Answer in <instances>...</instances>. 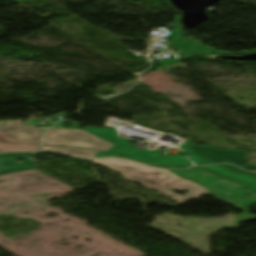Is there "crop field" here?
<instances>
[{"mask_svg": "<svg viewBox=\"0 0 256 256\" xmlns=\"http://www.w3.org/2000/svg\"><path fill=\"white\" fill-rule=\"evenodd\" d=\"M92 161L103 166H107L121 173L126 179L130 181L141 183L152 190L169 195L175 202L179 204L191 200L193 198H199L205 194H210L223 200L226 203H231L245 210V213L237 216V219L234 220L232 223L239 224L245 220L256 219V216L248 214V209H245L227 199H224L216 194H213L197 186L195 183L182 179L167 170L156 169L136 162L116 158H102ZM170 189H179L190 192L187 196L182 197L178 194L169 191Z\"/></svg>", "mask_w": 256, "mask_h": 256, "instance_id": "obj_1", "label": "crop field"}, {"mask_svg": "<svg viewBox=\"0 0 256 256\" xmlns=\"http://www.w3.org/2000/svg\"><path fill=\"white\" fill-rule=\"evenodd\" d=\"M177 175L192 179L196 184L225 197L243 207L256 204V194L240 184L233 183L222 177L213 175L206 171L188 169V170H170ZM210 184V186H207Z\"/></svg>", "mask_w": 256, "mask_h": 256, "instance_id": "obj_2", "label": "crop field"}, {"mask_svg": "<svg viewBox=\"0 0 256 256\" xmlns=\"http://www.w3.org/2000/svg\"><path fill=\"white\" fill-rule=\"evenodd\" d=\"M85 131L107 140L113 144L114 147L107 150L119 154H125L132 159L146 162L153 165H168V166H189L191 162L186 157H181V151L177 152L170 158H165L158 154V152L148 150H137L133 148L127 141L120 139L116 135V128L99 129V128H85Z\"/></svg>", "mask_w": 256, "mask_h": 256, "instance_id": "obj_3", "label": "crop field"}, {"mask_svg": "<svg viewBox=\"0 0 256 256\" xmlns=\"http://www.w3.org/2000/svg\"><path fill=\"white\" fill-rule=\"evenodd\" d=\"M60 133L62 134L55 138L53 141H51ZM43 144L81 148H96L104 151L114 146L113 144L107 141H104L89 133L80 132L79 130L47 131Z\"/></svg>", "mask_w": 256, "mask_h": 256, "instance_id": "obj_4", "label": "crop field"}, {"mask_svg": "<svg viewBox=\"0 0 256 256\" xmlns=\"http://www.w3.org/2000/svg\"><path fill=\"white\" fill-rule=\"evenodd\" d=\"M20 122H0V141L39 144L43 133L38 132L37 128L33 126H25L21 129L19 128Z\"/></svg>", "mask_w": 256, "mask_h": 256, "instance_id": "obj_5", "label": "crop field"}, {"mask_svg": "<svg viewBox=\"0 0 256 256\" xmlns=\"http://www.w3.org/2000/svg\"><path fill=\"white\" fill-rule=\"evenodd\" d=\"M198 143H204V142H196L191 147H189V149L195 151L200 155L207 157L208 159H210L215 163L232 162L246 170H252L256 168V166L242 165V162L245 160L244 155H246L247 152H244L241 150H234V149L223 150V149L213 148L206 143L204 147H200V146H197Z\"/></svg>", "mask_w": 256, "mask_h": 256, "instance_id": "obj_6", "label": "crop field"}, {"mask_svg": "<svg viewBox=\"0 0 256 256\" xmlns=\"http://www.w3.org/2000/svg\"><path fill=\"white\" fill-rule=\"evenodd\" d=\"M194 168L206 169L217 174H220L224 177L232 179L234 181L243 183L256 191V177L251 175L239 174V173H232L218 165H203V166H196Z\"/></svg>", "mask_w": 256, "mask_h": 256, "instance_id": "obj_7", "label": "crop field"}, {"mask_svg": "<svg viewBox=\"0 0 256 256\" xmlns=\"http://www.w3.org/2000/svg\"><path fill=\"white\" fill-rule=\"evenodd\" d=\"M188 42H187V48L186 51L196 55V56H202L205 54L209 53H220V54H244V53H250V52H256V50H251V51H244V52H222V51H217L213 48L210 47H205L203 43L199 42L198 40L192 38V37H187Z\"/></svg>", "mask_w": 256, "mask_h": 256, "instance_id": "obj_8", "label": "crop field"}, {"mask_svg": "<svg viewBox=\"0 0 256 256\" xmlns=\"http://www.w3.org/2000/svg\"><path fill=\"white\" fill-rule=\"evenodd\" d=\"M21 169H27L30 170L31 168L18 163L16 160L1 154L0 155V174L2 173H8V172H14Z\"/></svg>", "mask_w": 256, "mask_h": 256, "instance_id": "obj_9", "label": "crop field"}, {"mask_svg": "<svg viewBox=\"0 0 256 256\" xmlns=\"http://www.w3.org/2000/svg\"><path fill=\"white\" fill-rule=\"evenodd\" d=\"M41 150H55L59 152L69 153L73 155H78L86 158L95 157L96 153L99 151L96 150H85V149H76V148H67V147H52V146H42Z\"/></svg>", "mask_w": 256, "mask_h": 256, "instance_id": "obj_10", "label": "crop field"}, {"mask_svg": "<svg viewBox=\"0 0 256 256\" xmlns=\"http://www.w3.org/2000/svg\"><path fill=\"white\" fill-rule=\"evenodd\" d=\"M39 146L21 143H0V152L37 151Z\"/></svg>", "mask_w": 256, "mask_h": 256, "instance_id": "obj_11", "label": "crop field"}, {"mask_svg": "<svg viewBox=\"0 0 256 256\" xmlns=\"http://www.w3.org/2000/svg\"><path fill=\"white\" fill-rule=\"evenodd\" d=\"M192 142H185L181 146H179L186 154H188L189 158L195 163V164H201V163H213L207 158L200 156L193 151L187 149L190 145H192Z\"/></svg>", "mask_w": 256, "mask_h": 256, "instance_id": "obj_12", "label": "crop field"}, {"mask_svg": "<svg viewBox=\"0 0 256 256\" xmlns=\"http://www.w3.org/2000/svg\"><path fill=\"white\" fill-rule=\"evenodd\" d=\"M34 154L35 153L6 154V155H8V156H10V157H12V158H14L16 160L21 159L22 163H24V164H26V165H28V166H30V167L35 169V168L39 167V164L38 165L33 164L34 162H36V161H32L33 159H31L30 162L27 161L29 159H26L27 156H34Z\"/></svg>", "mask_w": 256, "mask_h": 256, "instance_id": "obj_13", "label": "crop field"}, {"mask_svg": "<svg viewBox=\"0 0 256 256\" xmlns=\"http://www.w3.org/2000/svg\"><path fill=\"white\" fill-rule=\"evenodd\" d=\"M177 32H179V34H175ZM180 33H181L180 31H176V30L171 32V35H170L171 37L169 39H172V41L169 42L168 44L173 45V46H175V47H177L179 49L184 50L185 43H186V38L180 36ZM175 35L178 36L177 39H174ZM180 37H182L183 39H180Z\"/></svg>", "mask_w": 256, "mask_h": 256, "instance_id": "obj_14", "label": "crop field"}, {"mask_svg": "<svg viewBox=\"0 0 256 256\" xmlns=\"http://www.w3.org/2000/svg\"><path fill=\"white\" fill-rule=\"evenodd\" d=\"M179 53L183 54L184 56L182 58H179V59H172V60H165L163 62H160L158 63L160 66L162 65H168L172 62H176V61H181V60H184V59H187V58H191V57H194L193 55L189 54V53H186L182 50L179 51Z\"/></svg>", "mask_w": 256, "mask_h": 256, "instance_id": "obj_15", "label": "crop field"}, {"mask_svg": "<svg viewBox=\"0 0 256 256\" xmlns=\"http://www.w3.org/2000/svg\"><path fill=\"white\" fill-rule=\"evenodd\" d=\"M221 166L233 171V172H239V173H245V174H251V175H256V173H250L247 171H244L238 167L232 166V165H227V164H220Z\"/></svg>", "mask_w": 256, "mask_h": 256, "instance_id": "obj_16", "label": "crop field"}, {"mask_svg": "<svg viewBox=\"0 0 256 256\" xmlns=\"http://www.w3.org/2000/svg\"><path fill=\"white\" fill-rule=\"evenodd\" d=\"M101 156H113V157H124L122 155L118 154H112V153H105V152H100L96 155V157H101ZM126 158V157H125Z\"/></svg>", "mask_w": 256, "mask_h": 256, "instance_id": "obj_17", "label": "crop field"}, {"mask_svg": "<svg viewBox=\"0 0 256 256\" xmlns=\"http://www.w3.org/2000/svg\"><path fill=\"white\" fill-rule=\"evenodd\" d=\"M174 27L181 30V27L179 25V15L175 16Z\"/></svg>", "mask_w": 256, "mask_h": 256, "instance_id": "obj_18", "label": "crop field"}]
</instances>
